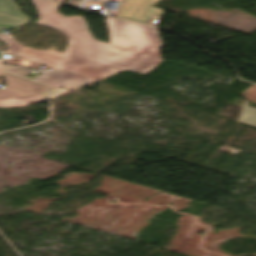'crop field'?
Instances as JSON below:
<instances>
[{
  "label": "crop field",
  "mask_w": 256,
  "mask_h": 256,
  "mask_svg": "<svg viewBox=\"0 0 256 256\" xmlns=\"http://www.w3.org/2000/svg\"><path fill=\"white\" fill-rule=\"evenodd\" d=\"M40 20L38 24L69 36L65 54L26 48L11 35L0 36L8 54L25 60L101 80L125 69L146 75L157 64L161 46L156 29L107 17L111 44L94 41L82 17H67L56 12L60 4L32 0Z\"/></svg>",
  "instance_id": "1"
},
{
  "label": "crop field",
  "mask_w": 256,
  "mask_h": 256,
  "mask_svg": "<svg viewBox=\"0 0 256 256\" xmlns=\"http://www.w3.org/2000/svg\"><path fill=\"white\" fill-rule=\"evenodd\" d=\"M158 1L160 0H126L116 17L156 27L164 11L151 7Z\"/></svg>",
  "instance_id": "2"
},
{
  "label": "crop field",
  "mask_w": 256,
  "mask_h": 256,
  "mask_svg": "<svg viewBox=\"0 0 256 256\" xmlns=\"http://www.w3.org/2000/svg\"><path fill=\"white\" fill-rule=\"evenodd\" d=\"M35 81L67 89H79L85 84L92 85L97 81L77 76L73 73L52 68L51 72L38 75Z\"/></svg>",
  "instance_id": "3"
},
{
  "label": "crop field",
  "mask_w": 256,
  "mask_h": 256,
  "mask_svg": "<svg viewBox=\"0 0 256 256\" xmlns=\"http://www.w3.org/2000/svg\"><path fill=\"white\" fill-rule=\"evenodd\" d=\"M4 74L6 77V89H0V99L39 95L48 87L33 83L15 76Z\"/></svg>",
  "instance_id": "4"
},
{
  "label": "crop field",
  "mask_w": 256,
  "mask_h": 256,
  "mask_svg": "<svg viewBox=\"0 0 256 256\" xmlns=\"http://www.w3.org/2000/svg\"><path fill=\"white\" fill-rule=\"evenodd\" d=\"M237 121L256 127V109L248 107L246 100H243L242 109Z\"/></svg>",
  "instance_id": "5"
},
{
  "label": "crop field",
  "mask_w": 256,
  "mask_h": 256,
  "mask_svg": "<svg viewBox=\"0 0 256 256\" xmlns=\"http://www.w3.org/2000/svg\"><path fill=\"white\" fill-rule=\"evenodd\" d=\"M42 101L44 100L39 96L2 99L0 100V108H12V105H22V104H28L31 102L38 103Z\"/></svg>",
  "instance_id": "6"
},
{
  "label": "crop field",
  "mask_w": 256,
  "mask_h": 256,
  "mask_svg": "<svg viewBox=\"0 0 256 256\" xmlns=\"http://www.w3.org/2000/svg\"><path fill=\"white\" fill-rule=\"evenodd\" d=\"M12 1L13 0H0V13L28 21V18L20 14L21 12L19 13L17 10L18 6H16Z\"/></svg>",
  "instance_id": "7"
},
{
  "label": "crop field",
  "mask_w": 256,
  "mask_h": 256,
  "mask_svg": "<svg viewBox=\"0 0 256 256\" xmlns=\"http://www.w3.org/2000/svg\"><path fill=\"white\" fill-rule=\"evenodd\" d=\"M4 71L26 77L29 69L3 64Z\"/></svg>",
  "instance_id": "8"
},
{
  "label": "crop field",
  "mask_w": 256,
  "mask_h": 256,
  "mask_svg": "<svg viewBox=\"0 0 256 256\" xmlns=\"http://www.w3.org/2000/svg\"><path fill=\"white\" fill-rule=\"evenodd\" d=\"M28 23L27 21L7 17L4 15H0V24H11V25H18L22 26L23 24ZM26 25V24H25Z\"/></svg>",
  "instance_id": "9"
},
{
  "label": "crop field",
  "mask_w": 256,
  "mask_h": 256,
  "mask_svg": "<svg viewBox=\"0 0 256 256\" xmlns=\"http://www.w3.org/2000/svg\"><path fill=\"white\" fill-rule=\"evenodd\" d=\"M67 92H68L67 89H52L48 93L44 94L43 97L50 100H54L57 96Z\"/></svg>",
  "instance_id": "10"
},
{
  "label": "crop field",
  "mask_w": 256,
  "mask_h": 256,
  "mask_svg": "<svg viewBox=\"0 0 256 256\" xmlns=\"http://www.w3.org/2000/svg\"><path fill=\"white\" fill-rule=\"evenodd\" d=\"M52 1L65 2L66 0H52Z\"/></svg>",
  "instance_id": "11"
},
{
  "label": "crop field",
  "mask_w": 256,
  "mask_h": 256,
  "mask_svg": "<svg viewBox=\"0 0 256 256\" xmlns=\"http://www.w3.org/2000/svg\"><path fill=\"white\" fill-rule=\"evenodd\" d=\"M0 77H1V75H0Z\"/></svg>",
  "instance_id": "12"
}]
</instances>
